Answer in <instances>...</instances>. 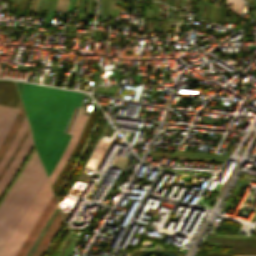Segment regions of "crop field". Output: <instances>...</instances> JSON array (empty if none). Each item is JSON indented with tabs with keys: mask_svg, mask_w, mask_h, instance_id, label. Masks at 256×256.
<instances>
[{
	"mask_svg": "<svg viewBox=\"0 0 256 256\" xmlns=\"http://www.w3.org/2000/svg\"><path fill=\"white\" fill-rule=\"evenodd\" d=\"M176 5H177V0H176V2H175V7H176Z\"/></svg>",
	"mask_w": 256,
	"mask_h": 256,
	"instance_id": "23",
	"label": "crop field"
},
{
	"mask_svg": "<svg viewBox=\"0 0 256 256\" xmlns=\"http://www.w3.org/2000/svg\"><path fill=\"white\" fill-rule=\"evenodd\" d=\"M105 11H108V0H105V4H104V16H105Z\"/></svg>",
	"mask_w": 256,
	"mask_h": 256,
	"instance_id": "18",
	"label": "crop field"
},
{
	"mask_svg": "<svg viewBox=\"0 0 256 256\" xmlns=\"http://www.w3.org/2000/svg\"><path fill=\"white\" fill-rule=\"evenodd\" d=\"M204 3H205L204 1H201L200 9H199V12H198V14H197V20L200 18V15H201V12H202Z\"/></svg>",
	"mask_w": 256,
	"mask_h": 256,
	"instance_id": "14",
	"label": "crop field"
},
{
	"mask_svg": "<svg viewBox=\"0 0 256 256\" xmlns=\"http://www.w3.org/2000/svg\"><path fill=\"white\" fill-rule=\"evenodd\" d=\"M212 5H209V8H208V11H207V13H206V16H205V19L204 20H208V17H209V15H210V12H211V9H212Z\"/></svg>",
	"mask_w": 256,
	"mask_h": 256,
	"instance_id": "16",
	"label": "crop field"
},
{
	"mask_svg": "<svg viewBox=\"0 0 256 256\" xmlns=\"http://www.w3.org/2000/svg\"><path fill=\"white\" fill-rule=\"evenodd\" d=\"M46 180L35 152L0 205V253Z\"/></svg>",
	"mask_w": 256,
	"mask_h": 256,
	"instance_id": "2",
	"label": "crop field"
},
{
	"mask_svg": "<svg viewBox=\"0 0 256 256\" xmlns=\"http://www.w3.org/2000/svg\"><path fill=\"white\" fill-rule=\"evenodd\" d=\"M32 146H33V144H32V139H31V133H29L24 144L22 145L21 149L19 150L17 156L15 157V159L9 166L8 170L6 171V173L0 180V194L2 193V191L4 190V188L6 187V185L10 181L11 177L13 176V174L15 173V171L17 170V168L19 167V165L21 164V162L23 161V159L25 158L27 153L30 151Z\"/></svg>",
	"mask_w": 256,
	"mask_h": 256,
	"instance_id": "4",
	"label": "crop field"
},
{
	"mask_svg": "<svg viewBox=\"0 0 256 256\" xmlns=\"http://www.w3.org/2000/svg\"><path fill=\"white\" fill-rule=\"evenodd\" d=\"M171 18H173V9H172V13H171Z\"/></svg>",
	"mask_w": 256,
	"mask_h": 256,
	"instance_id": "20",
	"label": "crop field"
},
{
	"mask_svg": "<svg viewBox=\"0 0 256 256\" xmlns=\"http://www.w3.org/2000/svg\"><path fill=\"white\" fill-rule=\"evenodd\" d=\"M166 3H167V0H166Z\"/></svg>",
	"mask_w": 256,
	"mask_h": 256,
	"instance_id": "29",
	"label": "crop field"
},
{
	"mask_svg": "<svg viewBox=\"0 0 256 256\" xmlns=\"http://www.w3.org/2000/svg\"><path fill=\"white\" fill-rule=\"evenodd\" d=\"M254 1V0H253ZM253 1H252V3H253Z\"/></svg>",
	"mask_w": 256,
	"mask_h": 256,
	"instance_id": "28",
	"label": "crop field"
},
{
	"mask_svg": "<svg viewBox=\"0 0 256 256\" xmlns=\"http://www.w3.org/2000/svg\"><path fill=\"white\" fill-rule=\"evenodd\" d=\"M153 18H156V2L152 1Z\"/></svg>",
	"mask_w": 256,
	"mask_h": 256,
	"instance_id": "13",
	"label": "crop field"
},
{
	"mask_svg": "<svg viewBox=\"0 0 256 256\" xmlns=\"http://www.w3.org/2000/svg\"><path fill=\"white\" fill-rule=\"evenodd\" d=\"M170 5H171V3H170Z\"/></svg>",
	"mask_w": 256,
	"mask_h": 256,
	"instance_id": "30",
	"label": "crop field"
},
{
	"mask_svg": "<svg viewBox=\"0 0 256 256\" xmlns=\"http://www.w3.org/2000/svg\"><path fill=\"white\" fill-rule=\"evenodd\" d=\"M84 93L25 84L21 99L31 124L34 145L47 176L55 168L82 112ZM73 104L78 106H73ZM73 106V108H72ZM72 108V110H71ZM71 113L69 115V112ZM68 121L65 125L67 117ZM65 128L63 130V127ZM63 130V132H62ZM69 135H64V134Z\"/></svg>",
	"mask_w": 256,
	"mask_h": 256,
	"instance_id": "1",
	"label": "crop field"
},
{
	"mask_svg": "<svg viewBox=\"0 0 256 256\" xmlns=\"http://www.w3.org/2000/svg\"><path fill=\"white\" fill-rule=\"evenodd\" d=\"M16 109L6 108L0 106V144L4 139L11 123L13 122L16 114Z\"/></svg>",
	"mask_w": 256,
	"mask_h": 256,
	"instance_id": "8",
	"label": "crop field"
},
{
	"mask_svg": "<svg viewBox=\"0 0 256 256\" xmlns=\"http://www.w3.org/2000/svg\"><path fill=\"white\" fill-rule=\"evenodd\" d=\"M56 204H57V201L53 196V198L51 199V201L49 202L47 207L44 209V211L40 215L37 223L35 224L34 228L30 232L29 236L27 237L26 241L24 242V244L22 245V247L20 248V250L18 251L16 256H23L24 255V253L26 252V250L28 249V247L30 246L32 241L34 240L35 236L37 235V233L39 232V230L41 229V227L43 226V224L45 223V221L49 217L50 213L52 212V210L56 206Z\"/></svg>",
	"mask_w": 256,
	"mask_h": 256,
	"instance_id": "6",
	"label": "crop field"
},
{
	"mask_svg": "<svg viewBox=\"0 0 256 256\" xmlns=\"http://www.w3.org/2000/svg\"><path fill=\"white\" fill-rule=\"evenodd\" d=\"M254 5L256 6V0H255V2H254Z\"/></svg>",
	"mask_w": 256,
	"mask_h": 256,
	"instance_id": "24",
	"label": "crop field"
},
{
	"mask_svg": "<svg viewBox=\"0 0 256 256\" xmlns=\"http://www.w3.org/2000/svg\"><path fill=\"white\" fill-rule=\"evenodd\" d=\"M227 11H228V9L225 8L224 6H222V9H221V12H220L219 15L226 16V15H227ZM225 18H226V17L219 16L216 23H217V24H220V25H223V23H224V21H225Z\"/></svg>",
	"mask_w": 256,
	"mask_h": 256,
	"instance_id": "11",
	"label": "crop field"
},
{
	"mask_svg": "<svg viewBox=\"0 0 256 256\" xmlns=\"http://www.w3.org/2000/svg\"><path fill=\"white\" fill-rule=\"evenodd\" d=\"M168 4H169V0H168Z\"/></svg>",
	"mask_w": 256,
	"mask_h": 256,
	"instance_id": "27",
	"label": "crop field"
},
{
	"mask_svg": "<svg viewBox=\"0 0 256 256\" xmlns=\"http://www.w3.org/2000/svg\"><path fill=\"white\" fill-rule=\"evenodd\" d=\"M88 116H81L75 130H74V133L61 157V159L59 160L56 168L54 169V171L52 172V174L49 176L48 180L50 182V185L53 183V181L55 180V178L58 176V174L60 173L65 161L67 160L68 156L70 155L79 135H80V132L86 122V119H87Z\"/></svg>",
	"mask_w": 256,
	"mask_h": 256,
	"instance_id": "5",
	"label": "crop field"
},
{
	"mask_svg": "<svg viewBox=\"0 0 256 256\" xmlns=\"http://www.w3.org/2000/svg\"><path fill=\"white\" fill-rule=\"evenodd\" d=\"M77 5H78V0H76V5H75V7H77Z\"/></svg>",
	"mask_w": 256,
	"mask_h": 256,
	"instance_id": "21",
	"label": "crop field"
},
{
	"mask_svg": "<svg viewBox=\"0 0 256 256\" xmlns=\"http://www.w3.org/2000/svg\"><path fill=\"white\" fill-rule=\"evenodd\" d=\"M157 18H158V10H157Z\"/></svg>",
	"mask_w": 256,
	"mask_h": 256,
	"instance_id": "25",
	"label": "crop field"
},
{
	"mask_svg": "<svg viewBox=\"0 0 256 256\" xmlns=\"http://www.w3.org/2000/svg\"><path fill=\"white\" fill-rule=\"evenodd\" d=\"M220 9H221V7L216 8L215 15H214V18H213V21H212V22H214V23L216 22V19H217V17H218V14H219Z\"/></svg>",
	"mask_w": 256,
	"mask_h": 256,
	"instance_id": "15",
	"label": "crop field"
},
{
	"mask_svg": "<svg viewBox=\"0 0 256 256\" xmlns=\"http://www.w3.org/2000/svg\"><path fill=\"white\" fill-rule=\"evenodd\" d=\"M170 13H171V8H170Z\"/></svg>",
	"mask_w": 256,
	"mask_h": 256,
	"instance_id": "26",
	"label": "crop field"
},
{
	"mask_svg": "<svg viewBox=\"0 0 256 256\" xmlns=\"http://www.w3.org/2000/svg\"><path fill=\"white\" fill-rule=\"evenodd\" d=\"M102 16H103V3H102Z\"/></svg>",
	"mask_w": 256,
	"mask_h": 256,
	"instance_id": "22",
	"label": "crop field"
},
{
	"mask_svg": "<svg viewBox=\"0 0 256 256\" xmlns=\"http://www.w3.org/2000/svg\"><path fill=\"white\" fill-rule=\"evenodd\" d=\"M27 126H28V124H27V120H26V117H25V119H24L20 129L18 130L13 142L11 143L7 153L5 154L3 159L0 161V173L3 170V168L5 167V165L7 164V162L9 161V159L11 158L12 154L14 153V151H15L21 137L23 136Z\"/></svg>",
	"mask_w": 256,
	"mask_h": 256,
	"instance_id": "9",
	"label": "crop field"
},
{
	"mask_svg": "<svg viewBox=\"0 0 256 256\" xmlns=\"http://www.w3.org/2000/svg\"><path fill=\"white\" fill-rule=\"evenodd\" d=\"M174 2H175V0H172V6H174Z\"/></svg>",
	"mask_w": 256,
	"mask_h": 256,
	"instance_id": "19",
	"label": "crop field"
},
{
	"mask_svg": "<svg viewBox=\"0 0 256 256\" xmlns=\"http://www.w3.org/2000/svg\"><path fill=\"white\" fill-rule=\"evenodd\" d=\"M62 222L63 220L59 211L31 256L43 255L44 251L46 250L47 246L51 242L59 227L61 226Z\"/></svg>",
	"mask_w": 256,
	"mask_h": 256,
	"instance_id": "7",
	"label": "crop field"
},
{
	"mask_svg": "<svg viewBox=\"0 0 256 256\" xmlns=\"http://www.w3.org/2000/svg\"><path fill=\"white\" fill-rule=\"evenodd\" d=\"M52 196L53 194L47 181L26 211L22 221L20 222L19 226L15 230L14 234L10 238L0 256H15Z\"/></svg>",
	"mask_w": 256,
	"mask_h": 256,
	"instance_id": "3",
	"label": "crop field"
},
{
	"mask_svg": "<svg viewBox=\"0 0 256 256\" xmlns=\"http://www.w3.org/2000/svg\"><path fill=\"white\" fill-rule=\"evenodd\" d=\"M21 1H22V0H20L18 6H17V8H16V12H15V14H14L15 16L17 15V13H18V11H19V7H20V4H21ZM25 1H26V0H23V1H22L21 7H20V11H19V13H18V15H17L18 18H19L20 15H21L22 9H23L24 4H25Z\"/></svg>",
	"mask_w": 256,
	"mask_h": 256,
	"instance_id": "12",
	"label": "crop field"
},
{
	"mask_svg": "<svg viewBox=\"0 0 256 256\" xmlns=\"http://www.w3.org/2000/svg\"><path fill=\"white\" fill-rule=\"evenodd\" d=\"M233 1L231 7L230 4ZM243 2L241 0H227V6L229 9H231L233 12L237 13L238 15L241 12L242 6H243Z\"/></svg>",
	"mask_w": 256,
	"mask_h": 256,
	"instance_id": "10",
	"label": "crop field"
},
{
	"mask_svg": "<svg viewBox=\"0 0 256 256\" xmlns=\"http://www.w3.org/2000/svg\"><path fill=\"white\" fill-rule=\"evenodd\" d=\"M109 2H111V0H109ZM113 7H114V1H113ZM109 16H111V3H109ZM114 17H115V8H114Z\"/></svg>",
	"mask_w": 256,
	"mask_h": 256,
	"instance_id": "17",
	"label": "crop field"
}]
</instances>
